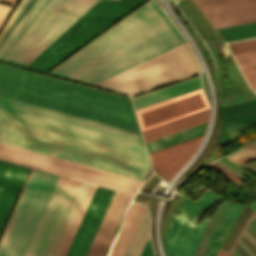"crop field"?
<instances>
[{
    "label": "crop field",
    "mask_w": 256,
    "mask_h": 256,
    "mask_svg": "<svg viewBox=\"0 0 256 256\" xmlns=\"http://www.w3.org/2000/svg\"><path fill=\"white\" fill-rule=\"evenodd\" d=\"M158 11L160 10L154 1H148L52 70L50 74L67 76ZM182 42H184L182 36L160 11L72 72L67 78L94 85Z\"/></svg>",
    "instance_id": "obj_1"
},
{
    "label": "crop field",
    "mask_w": 256,
    "mask_h": 256,
    "mask_svg": "<svg viewBox=\"0 0 256 256\" xmlns=\"http://www.w3.org/2000/svg\"><path fill=\"white\" fill-rule=\"evenodd\" d=\"M0 128L33 138L149 168L143 147L0 110ZM0 129V142L143 180L147 169Z\"/></svg>",
    "instance_id": "obj_2"
},
{
    "label": "crop field",
    "mask_w": 256,
    "mask_h": 256,
    "mask_svg": "<svg viewBox=\"0 0 256 256\" xmlns=\"http://www.w3.org/2000/svg\"><path fill=\"white\" fill-rule=\"evenodd\" d=\"M0 96L138 131L128 97L3 64Z\"/></svg>",
    "instance_id": "obj_3"
},
{
    "label": "crop field",
    "mask_w": 256,
    "mask_h": 256,
    "mask_svg": "<svg viewBox=\"0 0 256 256\" xmlns=\"http://www.w3.org/2000/svg\"><path fill=\"white\" fill-rule=\"evenodd\" d=\"M96 1L46 0L0 60L25 66Z\"/></svg>",
    "instance_id": "obj_4"
},
{
    "label": "crop field",
    "mask_w": 256,
    "mask_h": 256,
    "mask_svg": "<svg viewBox=\"0 0 256 256\" xmlns=\"http://www.w3.org/2000/svg\"><path fill=\"white\" fill-rule=\"evenodd\" d=\"M144 1H97L26 67L48 71Z\"/></svg>",
    "instance_id": "obj_5"
},
{
    "label": "crop field",
    "mask_w": 256,
    "mask_h": 256,
    "mask_svg": "<svg viewBox=\"0 0 256 256\" xmlns=\"http://www.w3.org/2000/svg\"><path fill=\"white\" fill-rule=\"evenodd\" d=\"M199 72L185 42L94 86L133 95Z\"/></svg>",
    "instance_id": "obj_6"
},
{
    "label": "crop field",
    "mask_w": 256,
    "mask_h": 256,
    "mask_svg": "<svg viewBox=\"0 0 256 256\" xmlns=\"http://www.w3.org/2000/svg\"><path fill=\"white\" fill-rule=\"evenodd\" d=\"M60 176L32 170L0 241V256H23Z\"/></svg>",
    "instance_id": "obj_7"
},
{
    "label": "crop field",
    "mask_w": 256,
    "mask_h": 256,
    "mask_svg": "<svg viewBox=\"0 0 256 256\" xmlns=\"http://www.w3.org/2000/svg\"><path fill=\"white\" fill-rule=\"evenodd\" d=\"M0 159L131 194L143 182L3 143H0Z\"/></svg>",
    "instance_id": "obj_8"
},
{
    "label": "crop field",
    "mask_w": 256,
    "mask_h": 256,
    "mask_svg": "<svg viewBox=\"0 0 256 256\" xmlns=\"http://www.w3.org/2000/svg\"><path fill=\"white\" fill-rule=\"evenodd\" d=\"M218 197L207 189L195 203L185 198L175 215L173 214L174 217L163 238L167 256L194 255L209 221L207 215L222 198L220 197L200 223L195 224L193 222L201 210L203 208L208 209Z\"/></svg>",
    "instance_id": "obj_9"
},
{
    "label": "crop field",
    "mask_w": 256,
    "mask_h": 256,
    "mask_svg": "<svg viewBox=\"0 0 256 256\" xmlns=\"http://www.w3.org/2000/svg\"><path fill=\"white\" fill-rule=\"evenodd\" d=\"M81 183L60 177L24 256H49Z\"/></svg>",
    "instance_id": "obj_10"
},
{
    "label": "crop field",
    "mask_w": 256,
    "mask_h": 256,
    "mask_svg": "<svg viewBox=\"0 0 256 256\" xmlns=\"http://www.w3.org/2000/svg\"><path fill=\"white\" fill-rule=\"evenodd\" d=\"M0 109L143 146L138 132L0 97ZM144 147V146H143Z\"/></svg>",
    "instance_id": "obj_11"
},
{
    "label": "crop field",
    "mask_w": 256,
    "mask_h": 256,
    "mask_svg": "<svg viewBox=\"0 0 256 256\" xmlns=\"http://www.w3.org/2000/svg\"><path fill=\"white\" fill-rule=\"evenodd\" d=\"M209 108L201 89L137 110L141 130Z\"/></svg>",
    "instance_id": "obj_12"
},
{
    "label": "crop field",
    "mask_w": 256,
    "mask_h": 256,
    "mask_svg": "<svg viewBox=\"0 0 256 256\" xmlns=\"http://www.w3.org/2000/svg\"><path fill=\"white\" fill-rule=\"evenodd\" d=\"M114 192L96 187L66 256H86Z\"/></svg>",
    "instance_id": "obj_13"
},
{
    "label": "crop field",
    "mask_w": 256,
    "mask_h": 256,
    "mask_svg": "<svg viewBox=\"0 0 256 256\" xmlns=\"http://www.w3.org/2000/svg\"><path fill=\"white\" fill-rule=\"evenodd\" d=\"M132 197L133 195L130 194L115 192L87 256L106 255L113 238L114 229L120 223Z\"/></svg>",
    "instance_id": "obj_14"
},
{
    "label": "crop field",
    "mask_w": 256,
    "mask_h": 256,
    "mask_svg": "<svg viewBox=\"0 0 256 256\" xmlns=\"http://www.w3.org/2000/svg\"><path fill=\"white\" fill-rule=\"evenodd\" d=\"M30 168L0 161V232Z\"/></svg>",
    "instance_id": "obj_15"
},
{
    "label": "crop field",
    "mask_w": 256,
    "mask_h": 256,
    "mask_svg": "<svg viewBox=\"0 0 256 256\" xmlns=\"http://www.w3.org/2000/svg\"><path fill=\"white\" fill-rule=\"evenodd\" d=\"M95 187L82 183L50 256H65Z\"/></svg>",
    "instance_id": "obj_16"
},
{
    "label": "crop field",
    "mask_w": 256,
    "mask_h": 256,
    "mask_svg": "<svg viewBox=\"0 0 256 256\" xmlns=\"http://www.w3.org/2000/svg\"><path fill=\"white\" fill-rule=\"evenodd\" d=\"M202 136L150 153L153 167L169 180L194 153Z\"/></svg>",
    "instance_id": "obj_17"
},
{
    "label": "crop field",
    "mask_w": 256,
    "mask_h": 256,
    "mask_svg": "<svg viewBox=\"0 0 256 256\" xmlns=\"http://www.w3.org/2000/svg\"><path fill=\"white\" fill-rule=\"evenodd\" d=\"M215 28L256 20V0L202 8Z\"/></svg>",
    "instance_id": "obj_18"
},
{
    "label": "crop field",
    "mask_w": 256,
    "mask_h": 256,
    "mask_svg": "<svg viewBox=\"0 0 256 256\" xmlns=\"http://www.w3.org/2000/svg\"><path fill=\"white\" fill-rule=\"evenodd\" d=\"M23 0L20 1L16 9L14 10L13 14L7 21L6 25L16 12L17 8L21 4ZM44 0H24L20 7L18 8L17 12L9 22V24L4 26L2 31L0 32V55L3 51L8 47V45L12 42V40L16 37V35L21 31V29L25 26V24L29 21L32 15L36 12L39 6L43 3ZM1 57V56H0Z\"/></svg>",
    "instance_id": "obj_19"
},
{
    "label": "crop field",
    "mask_w": 256,
    "mask_h": 256,
    "mask_svg": "<svg viewBox=\"0 0 256 256\" xmlns=\"http://www.w3.org/2000/svg\"><path fill=\"white\" fill-rule=\"evenodd\" d=\"M208 119V110L178 119L176 121L143 131L144 141H149L151 139L161 137L203 122Z\"/></svg>",
    "instance_id": "obj_20"
},
{
    "label": "crop field",
    "mask_w": 256,
    "mask_h": 256,
    "mask_svg": "<svg viewBox=\"0 0 256 256\" xmlns=\"http://www.w3.org/2000/svg\"><path fill=\"white\" fill-rule=\"evenodd\" d=\"M244 206L228 203L205 256H214Z\"/></svg>",
    "instance_id": "obj_21"
},
{
    "label": "crop field",
    "mask_w": 256,
    "mask_h": 256,
    "mask_svg": "<svg viewBox=\"0 0 256 256\" xmlns=\"http://www.w3.org/2000/svg\"><path fill=\"white\" fill-rule=\"evenodd\" d=\"M144 209L138 204L131 205L112 249L121 252L120 256H123Z\"/></svg>",
    "instance_id": "obj_22"
},
{
    "label": "crop field",
    "mask_w": 256,
    "mask_h": 256,
    "mask_svg": "<svg viewBox=\"0 0 256 256\" xmlns=\"http://www.w3.org/2000/svg\"><path fill=\"white\" fill-rule=\"evenodd\" d=\"M206 123L185 129L183 131L162 137L160 139L158 138V139L146 142L145 144H146L147 150L150 153V152L162 149L164 147L202 135L204 133Z\"/></svg>",
    "instance_id": "obj_23"
},
{
    "label": "crop field",
    "mask_w": 256,
    "mask_h": 256,
    "mask_svg": "<svg viewBox=\"0 0 256 256\" xmlns=\"http://www.w3.org/2000/svg\"><path fill=\"white\" fill-rule=\"evenodd\" d=\"M200 88H201L200 80H196V81L169 89L167 91L134 101L133 103H134L135 109L137 110V109H140V108H143V107H146V106L200 89Z\"/></svg>",
    "instance_id": "obj_24"
},
{
    "label": "crop field",
    "mask_w": 256,
    "mask_h": 256,
    "mask_svg": "<svg viewBox=\"0 0 256 256\" xmlns=\"http://www.w3.org/2000/svg\"><path fill=\"white\" fill-rule=\"evenodd\" d=\"M224 41L256 37V21L216 29Z\"/></svg>",
    "instance_id": "obj_25"
},
{
    "label": "crop field",
    "mask_w": 256,
    "mask_h": 256,
    "mask_svg": "<svg viewBox=\"0 0 256 256\" xmlns=\"http://www.w3.org/2000/svg\"><path fill=\"white\" fill-rule=\"evenodd\" d=\"M149 235V218L144 213L124 256H139Z\"/></svg>",
    "instance_id": "obj_26"
},
{
    "label": "crop field",
    "mask_w": 256,
    "mask_h": 256,
    "mask_svg": "<svg viewBox=\"0 0 256 256\" xmlns=\"http://www.w3.org/2000/svg\"><path fill=\"white\" fill-rule=\"evenodd\" d=\"M233 56L251 88L256 87V51Z\"/></svg>",
    "instance_id": "obj_27"
},
{
    "label": "crop field",
    "mask_w": 256,
    "mask_h": 256,
    "mask_svg": "<svg viewBox=\"0 0 256 256\" xmlns=\"http://www.w3.org/2000/svg\"><path fill=\"white\" fill-rule=\"evenodd\" d=\"M232 54L256 50V39L227 44Z\"/></svg>",
    "instance_id": "obj_28"
},
{
    "label": "crop field",
    "mask_w": 256,
    "mask_h": 256,
    "mask_svg": "<svg viewBox=\"0 0 256 256\" xmlns=\"http://www.w3.org/2000/svg\"><path fill=\"white\" fill-rule=\"evenodd\" d=\"M18 1L19 0H0V2H4L14 6H16ZM13 9H14L13 6L9 7V6L0 4V28L2 27V25L4 24V22L6 21V19L8 18V16L10 15Z\"/></svg>",
    "instance_id": "obj_29"
},
{
    "label": "crop field",
    "mask_w": 256,
    "mask_h": 256,
    "mask_svg": "<svg viewBox=\"0 0 256 256\" xmlns=\"http://www.w3.org/2000/svg\"><path fill=\"white\" fill-rule=\"evenodd\" d=\"M198 78H200L199 75H198V76H195V77H192V78H189V79H186V80H183V81H180V82H177V83H174V84H171V85H168V86H165V87H163V88H160V89H157V90H154V91H151V92H148V93H145V94H142V95L133 97L132 100L134 101V100H137V99H140V98L149 96V95H151V94H154V93H157V92H160V91H163V90H166V89H169V88H172V87L181 85V84H183V83H186V82H189V81L198 79Z\"/></svg>",
    "instance_id": "obj_30"
},
{
    "label": "crop field",
    "mask_w": 256,
    "mask_h": 256,
    "mask_svg": "<svg viewBox=\"0 0 256 256\" xmlns=\"http://www.w3.org/2000/svg\"><path fill=\"white\" fill-rule=\"evenodd\" d=\"M254 216L256 217V214L253 212L252 215L249 217V219L246 221V223H245V225L243 226V228L241 229V231H240V233H239V235H238L236 241L234 242V244H233V246H232V248H231V250H230V253L232 252V250H233L234 247L236 246V244H237V242L239 241V239H240V237H241V235H242L243 232H244V233L248 236V238L256 245V242L244 231V230L247 228V226L249 225V223L251 222V220L253 219Z\"/></svg>",
    "instance_id": "obj_31"
},
{
    "label": "crop field",
    "mask_w": 256,
    "mask_h": 256,
    "mask_svg": "<svg viewBox=\"0 0 256 256\" xmlns=\"http://www.w3.org/2000/svg\"><path fill=\"white\" fill-rule=\"evenodd\" d=\"M141 256H154L152 250H151V245H150V239H148Z\"/></svg>",
    "instance_id": "obj_32"
},
{
    "label": "crop field",
    "mask_w": 256,
    "mask_h": 256,
    "mask_svg": "<svg viewBox=\"0 0 256 256\" xmlns=\"http://www.w3.org/2000/svg\"><path fill=\"white\" fill-rule=\"evenodd\" d=\"M231 254L230 253H227V252H223L221 250H218L216 256H230Z\"/></svg>",
    "instance_id": "obj_33"
},
{
    "label": "crop field",
    "mask_w": 256,
    "mask_h": 256,
    "mask_svg": "<svg viewBox=\"0 0 256 256\" xmlns=\"http://www.w3.org/2000/svg\"><path fill=\"white\" fill-rule=\"evenodd\" d=\"M120 253L112 251L110 256H119Z\"/></svg>",
    "instance_id": "obj_34"
},
{
    "label": "crop field",
    "mask_w": 256,
    "mask_h": 256,
    "mask_svg": "<svg viewBox=\"0 0 256 256\" xmlns=\"http://www.w3.org/2000/svg\"><path fill=\"white\" fill-rule=\"evenodd\" d=\"M256 92V88L253 89Z\"/></svg>",
    "instance_id": "obj_35"
}]
</instances>
